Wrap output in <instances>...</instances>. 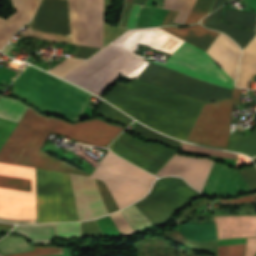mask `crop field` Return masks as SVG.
<instances>
[{"mask_svg":"<svg viewBox=\"0 0 256 256\" xmlns=\"http://www.w3.org/2000/svg\"><path fill=\"white\" fill-rule=\"evenodd\" d=\"M114 42L133 52L139 44H145L172 54L185 41L159 28H153L129 30ZM143 60L142 57L110 44L64 78L100 96L118 76L136 78L149 64ZM153 63L231 90L234 87V81L206 52L186 42L170 55L166 63ZM156 64L150 63L137 79L204 102L231 98V90Z\"/></svg>","mask_w":256,"mask_h":256,"instance_id":"obj_1","label":"crop field"},{"mask_svg":"<svg viewBox=\"0 0 256 256\" xmlns=\"http://www.w3.org/2000/svg\"><path fill=\"white\" fill-rule=\"evenodd\" d=\"M122 130L99 119L71 125L44 117L29 107L0 148V161L90 176L40 152L47 135L53 132L82 143L107 147ZM91 177L105 182L120 209L143 197L156 179L109 150Z\"/></svg>","mask_w":256,"mask_h":256,"instance_id":"obj_2","label":"crop field"},{"mask_svg":"<svg viewBox=\"0 0 256 256\" xmlns=\"http://www.w3.org/2000/svg\"><path fill=\"white\" fill-rule=\"evenodd\" d=\"M105 100L142 123L185 140L203 102L134 79L117 83Z\"/></svg>","mask_w":256,"mask_h":256,"instance_id":"obj_3","label":"crop field"},{"mask_svg":"<svg viewBox=\"0 0 256 256\" xmlns=\"http://www.w3.org/2000/svg\"><path fill=\"white\" fill-rule=\"evenodd\" d=\"M13 91L74 120H79L91 97L33 66H28L14 80Z\"/></svg>","mask_w":256,"mask_h":256,"instance_id":"obj_4","label":"crop field"},{"mask_svg":"<svg viewBox=\"0 0 256 256\" xmlns=\"http://www.w3.org/2000/svg\"><path fill=\"white\" fill-rule=\"evenodd\" d=\"M0 215L36 218L35 168L0 163ZM12 223H36V219H12Z\"/></svg>","mask_w":256,"mask_h":256,"instance_id":"obj_5","label":"crop field"},{"mask_svg":"<svg viewBox=\"0 0 256 256\" xmlns=\"http://www.w3.org/2000/svg\"><path fill=\"white\" fill-rule=\"evenodd\" d=\"M37 223L79 221L70 176L36 168Z\"/></svg>","mask_w":256,"mask_h":256,"instance_id":"obj_6","label":"crop field"},{"mask_svg":"<svg viewBox=\"0 0 256 256\" xmlns=\"http://www.w3.org/2000/svg\"><path fill=\"white\" fill-rule=\"evenodd\" d=\"M240 89L233 90L232 99L205 103L188 140L226 148L233 105H239Z\"/></svg>","mask_w":256,"mask_h":256,"instance_id":"obj_7","label":"crop field"},{"mask_svg":"<svg viewBox=\"0 0 256 256\" xmlns=\"http://www.w3.org/2000/svg\"><path fill=\"white\" fill-rule=\"evenodd\" d=\"M72 43L102 48L103 0H69Z\"/></svg>","mask_w":256,"mask_h":256,"instance_id":"obj_8","label":"crop field"},{"mask_svg":"<svg viewBox=\"0 0 256 256\" xmlns=\"http://www.w3.org/2000/svg\"><path fill=\"white\" fill-rule=\"evenodd\" d=\"M31 27L35 32L70 36L68 0H41ZM31 27L22 36L71 43L70 37L31 32Z\"/></svg>","mask_w":256,"mask_h":256,"instance_id":"obj_9","label":"crop field"},{"mask_svg":"<svg viewBox=\"0 0 256 256\" xmlns=\"http://www.w3.org/2000/svg\"><path fill=\"white\" fill-rule=\"evenodd\" d=\"M109 149L154 175L177 152L158 144L140 142L123 133Z\"/></svg>","mask_w":256,"mask_h":256,"instance_id":"obj_10","label":"crop field"},{"mask_svg":"<svg viewBox=\"0 0 256 256\" xmlns=\"http://www.w3.org/2000/svg\"><path fill=\"white\" fill-rule=\"evenodd\" d=\"M216 163V162H215ZM213 164L209 177L202 189L208 196H226L256 190V166L234 171L226 166Z\"/></svg>","mask_w":256,"mask_h":256,"instance_id":"obj_11","label":"crop field"},{"mask_svg":"<svg viewBox=\"0 0 256 256\" xmlns=\"http://www.w3.org/2000/svg\"><path fill=\"white\" fill-rule=\"evenodd\" d=\"M213 161L174 155L156 174L157 176L178 175L183 177L193 188L201 191Z\"/></svg>","mask_w":256,"mask_h":256,"instance_id":"obj_12","label":"crop field"},{"mask_svg":"<svg viewBox=\"0 0 256 256\" xmlns=\"http://www.w3.org/2000/svg\"><path fill=\"white\" fill-rule=\"evenodd\" d=\"M80 221L106 214L92 178L70 174Z\"/></svg>","mask_w":256,"mask_h":256,"instance_id":"obj_13","label":"crop field"},{"mask_svg":"<svg viewBox=\"0 0 256 256\" xmlns=\"http://www.w3.org/2000/svg\"><path fill=\"white\" fill-rule=\"evenodd\" d=\"M196 194L198 192L190 188L183 179L167 177L158 179L147 197L176 211ZM199 195L202 194L199 193L197 196Z\"/></svg>","mask_w":256,"mask_h":256,"instance_id":"obj_14","label":"crop field"},{"mask_svg":"<svg viewBox=\"0 0 256 256\" xmlns=\"http://www.w3.org/2000/svg\"><path fill=\"white\" fill-rule=\"evenodd\" d=\"M219 239L256 236V216L214 217Z\"/></svg>","mask_w":256,"mask_h":256,"instance_id":"obj_15","label":"crop field"},{"mask_svg":"<svg viewBox=\"0 0 256 256\" xmlns=\"http://www.w3.org/2000/svg\"><path fill=\"white\" fill-rule=\"evenodd\" d=\"M206 52L235 79L240 48L230 38L220 33Z\"/></svg>","mask_w":256,"mask_h":256,"instance_id":"obj_16","label":"crop field"},{"mask_svg":"<svg viewBox=\"0 0 256 256\" xmlns=\"http://www.w3.org/2000/svg\"><path fill=\"white\" fill-rule=\"evenodd\" d=\"M17 12L6 20L0 18V50L6 42L32 17L39 0H11Z\"/></svg>","mask_w":256,"mask_h":256,"instance_id":"obj_17","label":"crop field"},{"mask_svg":"<svg viewBox=\"0 0 256 256\" xmlns=\"http://www.w3.org/2000/svg\"><path fill=\"white\" fill-rule=\"evenodd\" d=\"M161 29L205 51L219 34V32L206 29L200 24L191 25L190 27H183V28H177V26H173V27H163Z\"/></svg>","mask_w":256,"mask_h":256,"instance_id":"obj_18","label":"crop field"},{"mask_svg":"<svg viewBox=\"0 0 256 256\" xmlns=\"http://www.w3.org/2000/svg\"><path fill=\"white\" fill-rule=\"evenodd\" d=\"M256 74V35L242 51L236 86L247 88Z\"/></svg>","mask_w":256,"mask_h":256,"instance_id":"obj_19","label":"crop field"},{"mask_svg":"<svg viewBox=\"0 0 256 256\" xmlns=\"http://www.w3.org/2000/svg\"><path fill=\"white\" fill-rule=\"evenodd\" d=\"M134 204L155 227L167 222L174 213V211L146 197Z\"/></svg>","mask_w":256,"mask_h":256,"instance_id":"obj_20","label":"crop field"},{"mask_svg":"<svg viewBox=\"0 0 256 256\" xmlns=\"http://www.w3.org/2000/svg\"><path fill=\"white\" fill-rule=\"evenodd\" d=\"M14 232L26 234L27 237L35 243H50L54 239V229L52 224L20 225Z\"/></svg>","mask_w":256,"mask_h":256,"instance_id":"obj_21","label":"crop field"},{"mask_svg":"<svg viewBox=\"0 0 256 256\" xmlns=\"http://www.w3.org/2000/svg\"><path fill=\"white\" fill-rule=\"evenodd\" d=\"M228 150L241 152L249 156H256V127L250 135L244 138L239 133L230 138Z\"/></svg>","mask_w":256,"mask_h":256,"instance_id":"obj_22","label":"crop field"},{"mask_svg":"<svg viewBox=\"0 0 256 256\" xmlns=\"http://www.w3.org/2000/svg\"><path fill=\"white\" fill-rule=\"evenodd\" d=\"M27 108L28 106L17 100L5 97L0 99V117L2 118L18 122Z\"/></svg>","mask_w":256,"mask_h":256,"instance_id":"obj_23","label":"crop field"},{"mask_svg":"<svg viewBox=\"0 0 256 256\" xmlns=\"http://www.w3.org/2000/svg\"><path fill=\"white\" fill-rule=\"evenodd\" d=\"M205 26L218 29L229 35L235 42H237L241 46L242 49L255 35V33L240 29L238 27L223 22Z\"/></svg>","mask_w":256,"mask_h":256,"instance_id":"obj_24","label":"crop field"},{"mask_svg":"<svg viewBox=\"0 0 256 256\" xmlns=\"http://www.w3.org/2000/svg\"><path fill=\"white\" fill-rule=\"evenodd\" d=\"M226 11L227 9L225 10L223 20L225 19ZM225 22L256 31V13L228 9Z\"/></svg>","mask_w":256,"mask_h":256,"instance_id":"obj_25","label":"crop field"},{"mask_svg":"<svg viewBox=\"0 0 256 256\" xmlns=\"http://www.w3.org/2000/svg\"><path fill=\"white\" fill-rule=\"evenodd\" d=\"M34 250L29 246L26 240L20 237H10L6 236L4 239L0 240V254H11L18 252H25Z\"/></svg>","mask_w":256,"mask_h":256,"instance_id":"obj_26","label":"crop field"},{"mask_svg":"<svg viewBox=\"0 0 256 256\" xmlns=\"http://www.w3.org/2000/svg\"><path fill=\"white\" fill-rule=\"evenodd\" d=\"M196 0H165L164 8L180 11L174 22L185 23Z\"/></svg>","mask_w":256,"mask_h":256,"instance_id":"obj_27","label":"crop field"},{"mask_svg":"<svg viewBox=\"0 0 256 256\" xmlns=\"http://www.w3.org/2000/svg\"><path fill=\"white\" fill-rule=\"evenodd\" d=\"M121 211L135 232L151 225L147 218L135 207L134 204Z\"/></svg>","mask_w":256,"mask_h":256,"instance_id":"obj_28","label":"crop field"},{"mask_svg":"<svg viewBox=\"0 0 256 256\" xmlns=\"http://www.w3.org/2000/svg\"><path fill=\"white\" fill-rule=\"evenodd\" d=\"M96 113L100 114L101 116L107 118L110 121L120 122L121 124L126 126H128L133 121L129 117L109 106L104 101L101 102Z\"/></svg>","mask_w":256,"mask_h":256,"instance_id":"obj_29","label":"crop field"},{"mask_svg":"<svg viewBox=\"0 0 256 256\" xmlns=\"http://www.w3.org/2000/svg\"><path fill=\"white\" fill-rule=\"evenodd\" d=\"M213 2L214 0H197L185 24L198 22L208 14Z\"/></svg>","mask_w":256,"mask_h":256,"instance_id":"obj_30","label":"crop field"},{"mask_svg":"<svg viewBox=\"0 0 256 256\" xmlns=\"http://www.w3.org/2000/svg\"><path fill=\"white\" fill-rule=\"evenodd\" d=\"M134 132L148 138L151 140H155V141H159V142H163V143H167L171 146H179L181 144V141L160 135L146 127H144L143 125L139 124L136 126V128L134 129Z\"/></svg>","mask_w":256,"mask_h":256,"instance_id":"obj_31","label":"crop field"},{"mask_svg":"<svg viewBox=\"0 0 256 256\" xmlns=\"http://www.w3.org/2000/svg\"><path fill=\"white\" fill-rule=\"evenodd\" d=\"M135 0H127L121 26L125 27ZM142 6H133L126 28H134Z\"/></svg>","mask_w":256,"mask_h":256,"instance_id":"obj_32","label":"crop field"},{"mask_svg":"<svg viewBox=\"0 0 256 256\" xmlns=\"http://www.w3.org/2000/svg\"><path fill=\"white\" fill-rule=\"evenodd\" d=\"M94 180L96 182V185L98 187V190L100 192V195L102 197V200L104 202L107 212L109 213V212L118 210L119 208H118L115 200L113 199L110 191L104 184V182L101 180H98V179H94Z\"/></svg>","mask_w":256,"mask_h":256,"instance_id":"obj_33","label":"crop field"},{"mask_svg":"<svg viewBox=\"0 0 256 256\" xmlns=\"http://www.w3.org/2000/svg\"><path fill=\"white\" fill-rule=\"evenodd\" d=\"M55 231L59 237L81 236L80 223L55 224Z\"/></svg>","mask_w":256,"mask_h":256,"instance_id":"obj_34","label":"crop field"},{"mask_svg":"<svg viewBox=\"0 0 256 256\" xmlns=\"http://www.w3.org/2000/svg\"><path fill=\"white\" fill-rule=\"evenodd\" d=\"M182 149L192 151V152H196V153H200V154L226 157V158H232V159H234L235 155H236L234 153L216 151V150H212V149H208V148H204V147H199V146L187 144L185 142L182 145Z\"/></svg>","mask_w":256,"mask_h":256,"instance_id":"obj_35","label":"crop field"},{"mask_svg":"<svg viewBox=\"0 0 256 256\" xmlns=\"http://www.w3.org/2000/svg\"><path fill=\"white\" fill-rule=\"evenodd\" d=\"M111 217L114 220L123 237L136 234L123 217L121 211L111 214Z\"/></svg>","mask_w":256,"mask_h":256,"instance_id":"obj_36","label":"crop field"},{"mask_svg":"<svg viewBox=\"0 0 256 256\" xmlns=\"http://www.w3.org/2000/svg\"><path fill=\"white\" fill-rule=\"evenodd\" d=\"M34 249L35 251L11 254V255H5V256H47V255L63 254V251L60 248L37 247Z\"/></svg>","mask_w":256,"mask_h":256,"instance_id":"obj_37","label":"crop field"},{"mask_svg":"<svg viewBox=\"0 0 256 256\" xmlns=\"http://www.w3.org/2000/svg\"><path fill=\"white\" fill-rule=\"evenodd\" d=\"M245 244L218 246V256H243Z\"/></svg>","mask_w":256,"mask_h":256,"instance_id":"obj_38","label":"crop field"},{"mask_svg":"<svg viewBox=\"0 0 256 256\" xmlns=\"http://www.w3.org/2000/svg\"><path fill=\"white\" fill-rule=\"evenodd\" d=\"M81 229H82V236H94V237L104 236L96 220L81 223Z\"/></svg>","mask_w":256,"mask_h":256,"instance_id":"obj_39","label":"crop field"},{"mask_svg":"<svg viewBox=\"0 0 256 256\" xmlns=\"http://www.w3.org/2000/svg\"><path fill=\"white\" fill-rule=\"evenodd\" d=\"M98 50H99L98 48L76 45L74 49V53L76 54L75 57L87 59Z\"/></svg>","mask_w":256,"mask_h":256,"instance_id":"obj_40","label":"crop field"},{"mask_svg":"<svg viewBox=\"0 0 256 256\" xmlns=\"http://www.w3.org/2000/svg\"><path fill=\"white\" fill-rule=\"evenodd\" d=\"M211 202H212V201L201 200V201L195 203L193 206L187 208V209L179 216V218L175 220V222H176L177 224L186 222V218L188 217V215H189L195 208H197V207L200 206V205L207 204V203H211Z\"/></svg>","mask_w":256,"mask_h":256,"instance_id":"obj_41","label":"crop field"},{"mask_svg":"<svg viewBox=\"0 0 256 256\" xmlns=\"http://www.w3.org/2000/svg\"><path fill=\"white\" fill-rule=\"evenodd\" d=\"M256 238H247L245 256H255Z\"/></svg>","mask_w":256,"mask_h":256,"instance_id":"obj_42","label":"crop field"},{"mask_svg":"<svg viewBox=\"0 0 256 256\" xmlns=\"http://www.w3.org/2000/svg\"><path fill=\"white\" fill-rule=\"evenodd\" d=\"M223 8L217 10L216 12H214L213 14L209 15L207 23L206 24H212V23H216L221 21L222 18V12H223Z\"/></svg>","mask_w":256,"mask_h":256,"instance_id":"obj_43","label":"crop field"},{"mask_svg":"<svg viewBox=\"0 0 256 256\" xmlns=\"http://www.w3.org/2000/svg\"><path fill=\"white\" fill-rule=\"evenodd\" d=\"M255 200H256V196H244L238 199L222 200V202L240 203V202H251Z\"/></svg>","mask_w":256,"mask_h":256,"instance_id":"obj_44","label":"crop field"},{"mask_svg":"<svg viewBox=\"0 0 256 256\" xmlns=\"http://www.w3.org/2000/svg\"><path fill=\"white\" fill-rule=\"evenodd\" d=\"M178 14L177 11H172L169 10L168 14L164 18L163 22L161 25H166V24H172L173 20L175 19L176 15Z\"/></svg>","mask_w":256,"mask_h":256,"instance_id":"obj_45","label":"crop field"},{"mask_svg":"<svg viewBox=\"0 0 256 256\" xmlns=\"http://www.w3.org/2000/svg\"><path fill=\"white\" fill-rule=\"evenodd\" d=\"M251 163H252V162H251L250 159H248V158H246V157H244V156H242V155H238V162H237L236 168H237V167H240V166H242V165L251 164Z\"/></svg>","mask_w":256,"mask_h":256,"instance_id":"obj_46","label":"crop field"},{"mask_svg":"<svg viewBox=\"0 0 256 256\" xmlns=\"http://www.w3.org/2000/svg\"><path fill=\"white\" fill-rule=\"evenodd\" d=\"M13 227L11 224L0 223V230H11Z\"/></svg>","mask_w":256,"mask_h":256,"instance_id":"obj_47","label":"crop field"},{"mask_svg":"<svg viewBox=\"0 0 256 256\" xmlns=\"http://www.w3.org/2000/svg\"><path fill=\"white\" fill-rule=\"evenodd\" d=\"M146 0H136L134 4L145 5Z\"/></svg>","mask_w":256,"mask_h":256,"instance_id":"obj_48","label":"crop field"},{"mask_svg":"<svg viewBox=\"0 0 256 256\" xmlns=\"http://www.w3.org/2000/svg\"><path fill=\"white\" fill-rule=\"evenodd\" d=\"M11 48H12V46L7 44V46L4 48V50L2 52L7 54Z\"/></svg>","mask_w":256,"mask_h":256,"instance_id":"obj_49","label":"crop field"},{"mask_svg":"<svg viewBox=\"0 0 256 256\" xmlns=\"http://www.w3.org/2000/svg\"><path fill=\"white\" fill-rule=\"evenodd\" d=\"M227 1H229V0H218V3H217V5H216V8L219 7V6H221L222 4H224V3L227 2Z\"/></svg>","mask_w":256,"mask_h":256,"instance_id":"obj_50","label":"crop field"},{"mask_svg":"<svg viewBox=\"0 0 256 256\" xmlns=\"http://www.w3.org/2000/svg\"><path fill=\"white\" fill-rule=\"evenodd\" d=\"M208 17V16H207ZM207 17L202 20V24L206 23Z\"/></svg>","mask_w":256,"mask_h":256,"instance_id":"obj_51","label":"crop field"},{"mask_svg":"<svg viewBox=\"0 0 256 256\" xmlns=\"http://www.w3.org/2000/svg\"><path fill=\"white\" fill-rule=\"evenodd\" d=\"M216 2H217V0H216ZM216 2H215V4H214V6H213V8H212L211 12L213 11V9H214V7H215V5H216ZM211 12H210V13H211Z\"/></svg>","mask_w":256,"mask_h":256,"instance_id":"obj_52","label":"crop field"}]
</instances>
